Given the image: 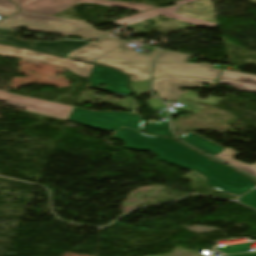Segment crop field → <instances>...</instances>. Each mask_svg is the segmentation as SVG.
<instances>
[{
	"instance_id": "obj_10",
	"label": "crop field",
	"mask_w": 256,
	"mask_h": 256,
	"mask_svg": "<svg viewBox=\"0 0 256 256\" xmlns=\"http://www.w3.org/2000/svg\"><path fill=\"white\" fill-rule=\"evenodd\" d=\"M12 31L0 30V43L17 45L26 48H33L61 56L67 57L68 54L91 41H61V42H26L16 37L10 36Z\"/></svg>"
},
{
	"instance_id": "obj_13",
	"label": "crop field",
	"mask_w": 256,
	"mask_h": 256,
	"mask_svg": "<svg viewBox=\"0 0 256 256\" xmlns=\"http://www.w3.org/2000/svg\"><path fill=\"white\" fill-rule=\"evenodd\" d=\"M193 1H196V0L178 1V2H175V4L177 6L164 7V8H155V9L148 10V11L130 16L128 18H125V19H122V20H119V21H116V22H113V23L116 24V25H122L124 23H128V25H131V24H134V23H137V22H140V21L158 16V15H161V16H165V17H168V18L183 21V22L190 23V24L197 25V26L214 28L216 26V24L175 13L181 5L186 4V3H190V2H193Z\"/></svg>"
},
{
	"instance_id": "obj_24",
	"label": "crop field",
	"mask_w": 256,
	"mask_h": 256,
	"mask_svg": "<svg viewBox=\"0 0 256 256\" xmlns=\"http://www.w3.org/2000/svg\"><path fill=\"white\" fill-rule=\"evenodd\" d=\"M147 86H148V81L136 82V83H131L130 84V87L134 90V92L138 96H141V95L147 93Z\"/></svg>"
},
{
	"instance_id": "obj_6",
	"label": "crop field",
	"mask_w": 256,
	"mask_h": 256,
	"mask_svg": "<svg viewBox=\"0 0 256 256\" xmlns=\"http://www.w3.org/2000/svg\"><path fill=\"white\" fill-rule=\"evenodd\" d=\"M15 2L19 10L42 13L53 15L60 11H63L76 3H93V4H101L137 11H145L148 9H152L155 7L151 6H143L136 4H128V3H120L113 1H105V0H11Z\"/></svg>"
},
{
	"instance_id": "obj_21",
	"label": "crop field",
	"mask_w": 256,
	"mask_h": 256,
	"mask_svg": "<svg viewBox=\"0 0 256 256\" xmlns=\"http://www.w3.org/2000/svg\"><path fill=\"white\" fill-rule=\"evenodd\" d=\"M17 7L9 0H0V15L6 17L16 13Z\"/></svg>"
},
{
	"instance_id": "obj_8",
	"label": "crop field",
	"mask_w": 256,
	"mask_h": 256,
	"mask_svg": "<svg viewBox=\"0 0 256 256\" xmlns=\"http://www.w3.org/2000/svg\"><path fill=\"white\" fill-rule=\"evenodd\" d=\"M6 104L20 107L33 114L67 120L73 107L8 93Z\"/></svg>"
},
{
	"instance_id": "obj_25",
	"label": "crop field",
	"mask_w": 256,
	"mask_h": 256,
	"mask_svg": "<svg viewBox=\"0 0 256 256\" xmlns=\"http://www.w3.org/2000/svg\"><path fill=\"white\" fill-rule=\"evenodd\" d=\"M144 103L151 109H157V108L163 107V105L160 104L161 102L156 99L147 100V101H144Z\"/></svg>"
},
{
	"instance_id": "obj_15",
	"label": "crop field",
	"mask_w": 256,
	"mask_h": 256,
	"mask_svg": "<svg viewBox=\"0 0 256 256\" xmlns=\"http://www.w3.org/2000/svg\"><path fill=\"white\" fill-rule=\"evenodd\" d=\"M238 91L256 93V76L223 70L219 83Z\"/></svg>"
},
{
	"instance_id": "obj_27",
	"label": "crop field",
	"mask_w": 256,
	"mask_h": 256,
	"mask_svg": "<svg viewBox=\"0 0 256 256\" xmlns=\"http://www.w3.org/2000/svg\"><path fill=\"white\" fill-rule=\"evenodd\" d=\"M6 95H7V92H2V91H0V99H1V100H4L5 97H6Z\"/></svg>"
},
{
	"instance_id": "obj_14",
	"label": "crop field",
	"mask_w": 256,
	"mask_h": 256,
	"mask_svg": "<svg viewBox=\"0 0 256 256\" xmlns=\"http://www.w3.org/2000/svg\"><path fill=\"white\" fill-rule=\"evenodd\" d=\"M96 64L115 68L131 76V82L149 79L151 62L123 61V60H97Z\"/></svg>"
},
{
	"instance_id": "obj_23",
	"label": "crop field",
	"mask_w": 256,
	"mask_h": 256,
	"mask_svg": "<svg viewBox=\"0 0 256 256\" xmlns=\"http://www.w3.org/2000/svg\"><path fill=\"white\" fill-rule=\"evenodd\" d=\"M239 202L256 209V189L245 195L244 197L240 198Z\"/></svg>"
},
{
	"instance_id": "obj_1",
	"label": "crop field",
	"mask_w": 256,
	"mask_h": 256,
	"mask_svg": "<svg viewBox=\"0 0 256 256\" xmlns=\"http://www.w3.org/2000/svg\"><path fill=\"white\" fill-rule=\"evenodd\" d=\"M113 137L122 140L125 148L151 151L158 159L185 169L193 170L208 159L171 139L146 136L125 127Z\"/></svg>"
},
{
	"instance_id": "obj_16",
	"label": "crop field",
	"mask_w": 256,
	"mask_h": 256,
	"mask_svg": "<svg viewBox=\"0 0 256 256\" xmlns=\"http://www.w3.org/2000/svg\"><path fill=\"white\" fill-rule=\"evenodd\" d=\"M221 99L209 96L205 100L198 99L196 93L187 92L178 102L185 104L180 110L200 114L202 108L196 105L198 102L215 105Z\"/></svg>"
},
{
	"instance_id": "obj_26",
	"label": "crop field",
	"mask_w": 256,
	"mask_h": 256,
	"mask_svg": "<svg viewBox=\"0 0 256 256\" xmlns=\"http://www.w3.org/2000/svg\"><path fill=\"white\" fill-rule=\"evenodd\" d=\"M230 256H256V252L253 253H240V254H234Z\"/></svg>"
},
{
	"instance_id": "obj_18",
	"label": "crop field",
	"mask_w": 256,
	"mask_h": 256,
	"mask_svg": "<svg viewBox=\"0 0 256 256\" xmlns=\"http://www.w3.org/2000/svg\"><path fill=\"white\" fill-rule=\"evenodd\" d=\"M238 154L239 153H237L236 151H234L228 147L225 150H223L222 152H220L219 154H217L215 157H217V158H219V159L256 177V163L249 165V164H246V163H243V162L233 159Z\"/></svg>"
},
{
	"instance_id": "obj_17",
	"label": "crop field",
	"mask_w": 256,
	"mask_h": 256,
	"mask_svg": "<svg viewBox=\"0 0 256 256\" xmlns=\"http://www.w3.org/2000/svg\"><path fill=\"white\" fill-rule=\"evenodd\" d=\"M182 140L186 141L190 145L214 156L220 151H222L224 148L190 132L182 137H180Z\"/></svg>"
},
{
	"instance_id": "obj_9",
	"label": "crop field",
	"mask_w": 256,
	"mask_h": 256,
	"mask_svg": "<svg viewBox=\"0 0 256 256\" xmlns=\"http://www.w3.org/2000/svg\"><path fill=\"white\" fill-rule=\"evenodd\" d=\"M221 70L212 69L211 64H179L156 62L153 78L162 75L190 76L216 80Z\"/></svg>"
},
{
	"instance_id": "obj_28",
	"label": "crop field",
	"mask_w": 256,
	"mask_h": 256,
	"mask_svg": "<svg viewBox=\"0 0 256 256\" xmlns=\"http://www.w3.org/2000/svg\"><path fill=\"white\" fill-rule=\"evenodd\" d=\"M194 171V170H193ZM206 182V181H205Z\"/></svg>"
},
{
	"instance_id": "obj_5",
	"label": "crop field",
	"mask_w": 256,
	"mask_h": 256,
	"mask_svg": "<svg viewBox=\"0 0 256 256\" xmlns=\"http://www.w3.org/2000/svg\"><path fill=\"white\" fill-rule=\"evenodd\" d=\"M69 121L90 127L116 132L122 126L140 131L143 118L127 113H98L74 107Z\"/></svg>"
},
{
	"instance_id": "obj_11",
	"label": "crop field",
	"mask_w": 256,
	"mask_h": 256,
	"mask_svg": "<svg viewBox=\"0 0 256 256\" xmlns=\"http://www.w3.org/2000/svg\"><path fill=\"white\" fill-rule=\"evenodd\" d=\"M90 86L95 89L115 93L122 96L130 95L131 93L126 88L127 76L113 69L95 65L89 78ZM100 83L105 84L104 88L98 87Z\"/></svg>"
},
{
	"instance_id": "obj_19",
	"label": "crop field",
	"mask_w": 256,
	"mask_h": 256,
	"mask_svg": "<svg viewBox=\"0 0 256 256\" xmlns=\"http://www.w3.org/2000/svg\"><path fill=\"white\" fill-rule=\"evenodd\" d=\"M145 131L148 134L169 135V136L177 139L170 133L168 123H166V122H147L146 126H145Z\"/></svg>"
},
{
	"instance_id": "obj_3",
	"label": "crop field",
	"mask_w": 256,
	"mask_h": 256,
	"mask_svg": "<svg viewBox=\"0 0 256 256\" xmlns=\"http://www.w3.org/2000/svg\"><path fill=\"white\" fill-rule=\"evenodd\" d=\"M127 41L118 38H101L94 43L72 53L69 57L95 63L97 59H124L152 61L159 53L154 49L149 55L130 51L126 47Z\"/></svg>"
},
{
	"instance_id": "obj_20",
	"label": "crop field",
	"mask_w": 256,
	"mask_h": 256,
	"mask_svg": "<svg viewBox=\"0 0 256 256\" xmlns=\"http://www.w3.org/2000/svg\"><path fill=\"white\" fill-rule=\"evenodd\" d=\"M190 58V55L163 51L162 55L156 61L187 63Z\"/></svg>"
},
{
	"instance_id": "obj_4",
	"label": "crop field",
	"mask_w": 256,
	"mask_h": 256,
	"mask_svg": "<svg viewBox=\"0 0 256 256\" xmlns=\"http://www.w3.org/2000/svg\"><path fill=\"white\" fill-rule=\"evenodd\" d=\"M195 171L206 178L208 185L235 197L256 186V183L248 178L210 159Z\"/></svg>"
},
{
	"instance_id": "obj_7",
	"label": "crop field",
	"mask_w": 256,
	"mask_h": 256,
	"mask_svg": "<svg viewBox=\"0 0 256 256\" xmlns=\"http://www.w3.org/2000/svg\"><path fill=\"white\" fill-rule=\"evenodd\" d=\"M0 55L23 59L30 62H45L67 68L76 74L88 78L94 65L78 61L68 60L44 53L17 49L5 45H0Z\"/></svg>"
},
{
	"instance_id": "obj_22",
	"label": "crop field",
	"mask_w": 256,
	"mask_h": 256,
	"mask_svg": "<svg viewBox=\"0 0 256 256\" xmlns=\"http://www.w3.org/2000/svg\"><path fill=\"white\" fill-rule=\"evenodd\" d=\"M252 244L253 243H244V244H238V245H232V246H225L217 249H220L225 254H229V253L248 251L249 246Z\"/></svg>"
},
{
	"instance_id": "obj_12",
	"label": "crop field",
	"mask_w": 256,
	"mask_h": 256,
	"mask_svg": "<svg viewBox=\"0 0 256 256\" xmlns=\"http://www.w3.org/2000/svg\"><path fill=\"white\" fill-rule=\"evenodd\" d=\"M216 81L190 77H162L154 79L151 89L158 93L160 99L175 101L183 93L179 87L203 86L202 83L214 85Z\"/></svg>"
},
{
	"instance_id": "obj_2",
	"label": "crop field",
	"mask_w": 256,
	"mask_h": 256,
	"mask_svg": "<svg viewBox=\"0 0 256 256\" xmlns=\"http://www.w3.org/2000/svg\"><path fill=\"white\" fill-rule=\"evenodd\" d=\"M18 27H27V29L34 31L79 35L86 39L109 36L108 33L95 31L83 21L22 11H18L17 14L0 21V28L14 29Z\"/></svg>"
}]
</instances>
